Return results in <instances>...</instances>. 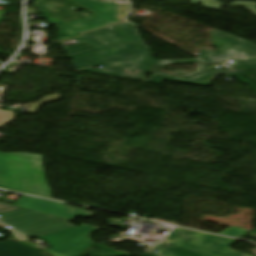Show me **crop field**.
<instances>
[{"instance_id":"8a807250","label":"crop field","mask_w":256,"mask_h":256,"mask_svg":"<svg viewBox=\"0 0 256 256\" xmlns=\"http://www.w3.org/2000/svg\"><path fill=\"white\" fill-rule=\"evenodd\" d=\"M134 44L145 46L136 26L125 22L114 25ZM105 49L97 54L71 60L76 71L143 82L152 62L151 52L132 45L112 26L82 35ZM105 66L107 71L92 68Z\"/></svg>"},{"instance_id":"ac0d7876","label":"crop field","mask_w":256,"mask_h":256,"mask_svg":"<svg viewBox=\"0 0 256 256\" xmlns=\"http://www.w3.org/2000/svg\"><path fill=\"white\" fill-rule=\"evenodd\" d=\"M42 155L0 153V187L52 199Z\"/></svg>"},{"instance_id":"34b2d1b8","label":"crop field","mask_w":256,"mask_h":256,"mask_svg":"<svg viewBox=\"0 0 256 256\" xmlns=\"http://www.w3.org/2000/svg\"><path fill=\"white\" fill-rule=\"evenodd\" d=\"M237 240L216 235L193 232L181 228L174 229L159 243L151 245L147 252L154 256H249L230 250V246ZM171 243L177 247L168 246Z\"/></svg>"},{"instance_id":"412701ff","label":"crop field","mask_w":256,"mask_h":256,"mask_svg":"<svg viewBox=\"0 0 256 256\" xmlns=\"http://www.w3.org/2000/svg\"><path fill=\"white\" fill-rule=\"evenodd\" d=\"M1 217V221L32 238L73 227L68 224L71 222L69 220L26 209L1 215Z\"/></svg>"},{"instance_id":"f4fd0767","label":"crop field","mask_w":256,"mask_h":256,"mask_svg":"<svg viewBox=\"0 0 256 256\" xmlns=\"http://www.w3.org/2000/svg\"><path fill=\"white\" fill-rule=\"evenodd\" d=\"M33 3L48 23L59 29L58 41L78 36L65 23L91 15L88 12L79 14L76 11L80 7L66 0H36Z\"/></svg>"},{"instance_id":"dd49c442","label":"crop field","mask_w":256,"mask_h":256,"mask_svg":"<svg viewBox=\"0 0 256 256\" xmlns=\"http://www.w3.org/2000/svg\"><path fill=\"white\" fill-rule=\"evenodd\" d=\"M216 47L221 51H202L198 53L199 58L206 62H218L229 59H242L256 56V45L237 37L225 34L221 31L211 32ZM237 44L239 46H233Z\"/></svg>"},{"instance_id":"e52e79f7","label":"crop field","mask_w":256,"mask_h":256,"mask_svg":"<svg viewBox=\"0 0 256 256\" xmlns=\"http://www.w3.org/2000/svg\"><path fill=\"white\" fill-rule=\"evenodd\" d=\"M14 206L40 211L62 218L73 220L75 217H90L93 213L71 208L67 205L36 199L34 197L22 195Z\"/></svg>"},{"instance_id":"d8731c3e","label":"crop field","mask_w":256,"mask_h":256,"mask_svg":"<svg viewBox=\"0 0 256 256\" xmlns=\"http://www.w3.org/2000/svg\"><path fill=\"white\" fill-rule=\"evenodd\" d=\"M88 11L99 16L108 23L123 21L128 6L125 4L101 0H71Z\"/></svg>"},{"instance_id":"5a996713","label":"crop field","mask_w":256,"mask_h":256,"mask_svg":"<svg viewBox=\"0 0 256 256\" xmlns=\"http://www.w3.org/2000/svg\"><path fill=\"white\" fill-rule=\"evenodd\" d=\"M100 229L101 228L91 230L44 252H48L53 256H77L92 244L89 239L90 233Z\"/></svg>"},{"instance_id":"3316defc","label":"crop field","mask_w":256,"mask_h":256,"mask_svg":"<svg viewBox=\"0 0 256 256\" xmlns=\"http://www.w3.org/2000/svg\"><path fill=\"white\" fill-rule=\"evenodd\" d=\"M246 74L247 73L243 70H236V71L223 70V71H210L208 73L202 74L200 76L194 77L189 80L152 75L150 80H145V81L161 84L163 80H167V81H175V82L209 86L213 82L214 78L218 75H228L231 77H235V76H241Z\"/></svg>"},{"instance_id":"28ad6ade","label":"crop field","mask_w":256,"mask_h":256,"mask_svg":"<svg viewBox=\"0 0 256 256\" xmlns=\"http://www.w3.org/2000/svg\"><path fill=\"white\" fill-rule=\"evenodd\" d=\"M183 63H200L199 68L194 73H186L179 71L175 75L172 74H166V73H160L156 72L161 67L167 65V64H183ZM209 65L199 61V60H154L150 70L148 73L150 74H157V75H163V76H170V77H179V78H187L190 76H194L203 72L210 71Z\"/></svg>"},{"instance_id":"d1516ede","label":"crop field","mask_w":256,"mask_h":256,"mask_svg":"<svg viewBox=\"0 0 256 256\" xmlns=\"http://www.w3.org/2000/svg\"><path fill=\"white\" fill-rule=\"evenodd\" d=\"M9 240V239H8ZM7 241V240H6ZM0 256H48L33 248L22 245L11 239L7 242H0Z\"/></svg>"},{"instance_id":"22f410ed","label":"crop field","mask_w":256,"mask_h":256,"mask_svg":"<svg viewBox=\"0 0 256 256\" xmlns=\"http://www.w3.org/2000/svg\"><path fill=\"white\" fill-rule=\"evenodd\" d=\"M94 228H97V227H93V226H90V225H86V224H83L81 226H78V227H73V228H70V229H66V230H63V231H60V232H57V233H53V234H50V235H47V236H44V237H40V238H37V239H41L43 241H45L46 243L49 244L50 247L56 245V244H59L63 241H66L70 238H73L77 235H80L84 232H87L91 229H94Z\"/></svg>"},{"instance_id":"cbeb9de0","label":"crop field","mask_w":256,"mask_h":256,"mask_svg":"<svg viewBox=\"0 0 256 256\" xmlns=\"http://www.w3.org/2000/svg\"><path fill=\"white\" fill-rule=\"evenodd\" d=\"M78 41H80V44L65 47L64 50L68 54L69 58H77L93 53H97L99 51H102L101 49L97 48L96 46L88 43L87 41L81 39V38H76Z\"/></svg>"},{"instance_id":"5142ce71","label":"crop field","mask_w":256,"mask_h":256,"mask_svg":"<svg viewBox=\"0 0 256 256\" xmlns=\"http://www.w3.org/2000/svg\"><path fill=\"white\" fill-rule=\"evenodd\" d=\"M88 19H92L94 22L90 23L87 21ZM67 25L70 26L74 31H76L79 34V33L89 31V30L99 28L109 24L103 21L102 19L98 18L97 16L92 15L87 18H83L77 21L67 23Z\"/></svg>"},{"instance_id":"d9b57169","label":"crop field","mask_w":256,"mask_h":256,"mask_svg":"<svg viewBox=\"0 0 256 256\" xmlns=\"http://www.w3.org/2000/svg\"><path fill=\"white\" fill-rule=\"evenodd\" d=\"M194 5H197L198 2L204 5L205 8L221 11V4L215 0H192ZM228 6H244L245 9L256 16V3L247 2V1H235Z\"/></svg>"},{"instance_id":"733c2abd","label":"crop field","mask_w":256,"mask_h":256,"mask_svg":"<svg viewBox=\"0 0 256 256\" xmlns=\"http://www.w3.org/2000/svg\"><path fill=\"white\" fill-rule=\"evenodd\" d=\"M59 99H61L60 93L48 95V96L44 97L40 103L31 105L29 107L28 113L36 114V112L38 111V109L41 107L42 104L54 102V101H57Z\"/></svg>"},{"instance_id":"4a817a6b","label":"crop field","mask_w":256,"mask_h":256,"mask_svg":"<svg viewBox=\"0 0 256 256\" xmlns=\"http://www.w3.org/2000/svg\"><path fill=\"white\" fill-rule=\"evenodd\" d=\"M248 232H250V230L234 227V228H229L226 231L222 232L221 235L240 238L245 234H247Z\"/></svg>"},{"instance_id":"bc2a9ffb","label":"crop field","mask_w":256,"mask_h":256,"mask_svg":"<svg viewBox=\"0 0 256 256\" xmlns=\"http://www.w3.org/2000/svg\"><path fill=\"white\" fill-rule=\"evenodd\" d=\"M237 68H255L256 58L235 61Z\"/></svg>"},{"instance_id":"214f88e0","label":"crop field","mask_w":256,"mask_h":256,"mask_svg":"<svg viewBox=\"0 0 256 256\" xmlns=\"http://www.w3.org/2000/svg\"><path fill=\"white\" fill-rule=\"evenodd\" d=\"M18 209H22V208L14 207L12 205L0 202V215L11 212V211H15V210H18Z\"/></svg>"},{"instance_id":"92a150f3","label":"crop field","mask_w":256,"mask_h":256,"mask_svg":"<svg viewBox=\"0 0 256 256\" xmlns=\"http://www.w3.org/2000/svg\"><path fill=\"white\" fill-rule=\"evenodd\" d=\"M0 118L4 119H14L15 118V112H4L0 109Z\"/></svg>"},{"instance_id":"dafd665d","label":"crop field","mask_w":256,"mask_h":256,"mask_svg":"<svg viewBox=\"0 0 256 256\" xmlns=\"http://www.w3.org/2000/svg\"><path fill=\"white\" fill-rule=\"evenodd\" d=\"M11 232H12V233L15 235V237H16L19 241H21V242H24V241L28 240V238L22 236L21 234L15 232V231H13V230H11Z\"/></svg>"},{"instance_id":"00972430","label":"crop field","mask_w":256,"mask_h":256,"mask_svg":"<svg viewBox=\"0 0 256 256\" xmlns=\"http://www.w3.org/2000/svg\"><path fill=\"white\" fill-rule=\"evenodd\" d=\"M13 120H3L0 119V128H2L4 125H6L7 123L12 122Z\"/></svg>"},{"instance_id":"a9b5d70f","label":"crop field","mask_w":256,"mask_h":256,"mask_svg":"<svg viewBox=\"0 0 256 256\" xmlns=\"http://www.w3.org/2000/svg\"><path fill=\"white\" fill-rule=\"evenodd\" d=\"M4 13H5V11H0V21L2 20Z\"/></svg>"},{"instance_id":"4177f3b9","label":"crop field","mask_w":256,"mask_h":256,"mask_svg":"<svg viewBox=\"0 0 256 256\" xmlns=\"http://www.w3.org/2000/svg\"><path fill=\"white\" fill-rule=\"evenodd\" d=\"M0 227H1V228H4V227H7V226L4 225V224H2V223H0Z\"/></svg>"},{"instance_id":"730fd06b","label":"crop field","mask_w":256,"mask_h":256,"mask_svg":"<svg viewBox=\"0 0 256 256\" xmlns=\"http://www.w3.org/2000/svg\"><path fill=\"white\" fill-rule=\"evenodd\" d=\"M86 40V39H85ZM88 41V40H87ZM88 42H90V41H88ZM90 43H92V42H90ZM93 44V43H92Z\"/></svg>"}]
</instances>
